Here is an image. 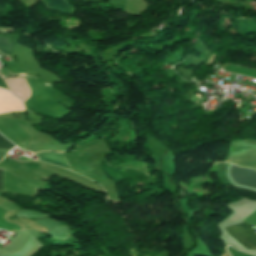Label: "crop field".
<instances>
[{"label":"crop field","instance_id":"obj_1","mask_svg":"<svg viewBox=\"0 0 256 256\" xmlns=\"http://www.w3.org/2000/svg\"><path fill=\"white\" fill-rule=\"evenodd\" d=\"M229 235L247 249H256V229L246 223L227 227Z\"/></svg>","mask_w":256,"mask_h":256},{"label":"crop field","instance_id":"obj_2","mask_svg":"<svg viewBox=\"0 0 256 256\" xmlns=\"http://www.w3.org/2000/svg\"><path fill=\"white\" fill-rule=\"evenodd\" d=\"M231 176L241 185L256 188V172L250 169L238 168L232 165Z\"/></svg>","mask_w":256,"mask_h":256},{"label":"crop field","instance_id":"obj_3","mask_svg":"<svg viewBox=\"0 0 256 256\" xmlns=\"http://www.w3.org/2000/svg\"><path fill=\"white\" fill-rule=\"evenodd\" d=\"M9 90L17 95L24 102L30 97V89L25 81L22 78L15 79H5L4 80Z\"/></svg>","mask_w":256,"mask_h":256},{"label":"crop field","instance_id":"obj_4","mask_svg":"<svg viewBox=\"0 0 256 256\" xmlns=\"http://www.w3.org/2000/svg\"><path fill=\"white\" fill-rule=\"evenodd\" d=\"M43 3L45 7L49 10L59 11L67 14H70L74 11V9L71 8L63 0H44Z\"/></svg>","mask_w":256,"mask_h":256},{"label":"crop field","instance_id":"obj_5","mask_svg":"<svg viewBox=\"0 0 256 256\" xmlns=\"http://www.w3.org/2000/svg\"><path fill=\"white\" fill-rule=\"evenodd\" d=\"M10 45V44H9ZM8 45V42L6 39L0 38V52L5 54H10L11 46Z\"/></svg>","mask_w":256,"mask_h":256},{"label":"crop field","instance_id":"obj_6","mask_svg":"<svg viewBox=\"0 0 256 256\" xmlns=\"http://www.w3.org/2000/svg\"><path fill=\"white\" fill-rule=\"evenodd\" d=\"M14 145L9 143L7 140H5L1 135H0V148L1 149H11L13 148Z\"/></svg>","mask_w":256,"mask_h":256},{"label":"crop field","instance_id":"obj_7","mask_svg":"<svg viewBox=\"0 0 256 256\" xmlns=\"http://www.w3.org/2000/svg\"><path fill=\"white\" fill-rule=\"evenodd\" d=\"M8 68H9V71H11L13 73H26V72H24V71H22V70H20L18 68H15V67H13L11 65H8Z\"/></svg>","mask_w":256,"mask_h":256},{"label":"crop field","instance_id":"obj_8","mask_svg":"<svg viewBox=\"0 0 256 256\" xmlns=\"http://www.w3.org/2000/svg\"><path fill=\"white\" fill-rule=\"evenodd\" d=\"M0 189H2V170H0Z\"/></svg>","mask_w":256,"mask_h":256},{"label":"crop field","instance_id":"obj_9","mask_svg":"<svg viewBox=\"0 0 256 256\" xmlns=\"http://www.w3.org/2000/svg\"><path fill=\"white\" fill-rule=\"evenodd\" d=\"M0 87L7 88L5 83L0 79ZM8 89V88H7Z\"/></svg>","mask_w":256,"mask_h":256},{"label":"crop field","instance_id":"obj_10","mask_svg":"<svg viewBox=\"0 0 256 256\" xmlns=\"http://www.w3.org/2000/svg\"><path fill=\"white\" fill-rule=\"evenodd\" d=\"M16 231V230H15ZM11 232H13V231H11Z\"/></svg>","mask_w":256,"mask_h":256}]
</instances>
